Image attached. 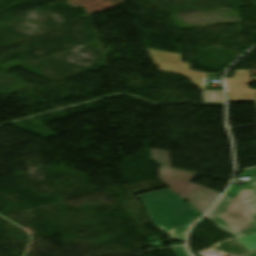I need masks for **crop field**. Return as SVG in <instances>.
I'll return each mask as SVG.
<instances>
[{"label":"crop field","instance_id":"obj_9","mask_svg":"<svg viewBox=\"0 0 256 256\" xmlns=\"http://www.w3.org/2000/svg\"><path fill=\"white\" fill-rule=\"evenodd\" d=\"M176 256H189L188 252H186L185 247H176L174 248Z\"/></svg>","mask_w":256,"mask_h":256},{"label":"crop field","instance_id":"obj_8","mask_svg":"<svg viewBox=\"0 0 256 256\" xmlns=\"http://www.w3.org/2000/svg\"><path fill=\"white\" fill-rule=\"evenodd\" d=\"M237 241L251 251L256 250V233L237 239Z\"/></svg>","mask_w":256,"mask_h":256},{"label":"crop field","instance_id":"obj_3","mask_svg":"<svg viewBox=\"0 0 256 256\" xmlns=\"http://www.w3.org/2000/svg\"><path fill=\"white\" fill-rule=\"evenodd\" d=\"M152 161L158 165L159 179L202 215L205 214L220 193L190 183L195 174L171 169L170 152L150 149Z\"/></svg>","mask_w":256,"mask_h":256},{"label":"crop field","instance_id":"obj_11","mask_svg":"<svg viewBox=\"0 0 256 256\" xmlns=\"http://www.w3.org/2000/svg\"><path fill=\"white\" fill-rule=\"evenodd\" d=\"M246 256H256V253L249 254V255H246Z\"/></svg>","mask_w":256,"mask_h":256},{"label":"crop field","instance_id":"obj_4","mask_svg":"<svg viewBox=\"0 0 256 256\" xmlns=\"http://www.w3.org/2000/svg\"><path fill=\"white\" fill-rule=\"evenodd\" d=\"M149 54L155 63L161 66L159 71L182 74L202 89L205 88L207 74L188 70L190 64L182 63L180 55L151 49H149Z\"/></svg>","mask_w":256,"mask_h":256},{"label":"crop field","instance_id":"obj_6","mask_svg":"<svg viewBox=\"0 0 256 256\" xmlns=\"http://www.w3.org/2000/svg\"><path fill=\"white\" fill-rule=\"evenodd\" d=\"M221 250L226 252L227 254H234L236 256H242L246 254L245 251H247L245 248H243L241 245H239L236 241L233 239L225 241L219 245H217Z\"/></svg>","mask_w":256,"mask_h":256},{"label":"crop field","instance_id":"obj_10","mask_svg":"<svg viewBox=\"0 0 256 256\" xmlns=\"http://www.w3.org/2000/svg\"><path fill=\"white\" fill-rule=\"evenodd\" d=\"M249 202H250V199L249 200H246L244 203L249 205Z\"/></svg>","mask_w":256,"mask_h":256},{"label":"crop field","instance_id":"obj_2","mask_svg":"<svg viewBox=\"0 0 256 256\" xmlns=\"http://www.w3.org/2000/svg\"><path fill=\"white\" fill-rule=\"evenodd\" d=\"M152 222L172 241H185L188 227L202 215L169 188L138 195Z\"/></svg>","mask_w":256,"mask_h":256},{"label":"crop field","instance_id":"obj_1","mask_svg":"<svg viewBox=\"0 0 256 256\" xmlns=\"http://www.w3.org/2000/svg\"><path fill=\"white\" fill-rule=\"evenodd\" d=\"M242 174L254 181L255 199L251 200L248 212L242 215L249 207L243 204L244 200L252 198L251 185L231 186L206 217L234 239L256 232V224L252 222L256 221V168Z\"/></svg>","mask_w":256,"mask_h":256},{"label":"crop field","instance_id":"obj_7","mask_svg":"<svg viewBox=\"0 0 256 256\" xmlns=\"http://www.w3.org/2000/svg\"><path fill=\"white\" fill-rule=\"evenodd\" d=\"M205 103L224 102V94L222 91L203 90Z\"/></svg>","mask_w":256,"mask_h":256},{"label":"crop field","instance_id":"obj_5","mask_svg":"<svg viewBox=\"0 0 256 256\" xmlns=\"http://www.w3.org/2000/svg\"><path fill=\"white\" fill-rule=\"evenodd\" d=\"M248 83H251L249 70L236 71L233 78L224 80L225 89L230 95V102L256 101V90H250Z\"/></svg>","mask_w":256,"mask_h":256}]
</instances>
